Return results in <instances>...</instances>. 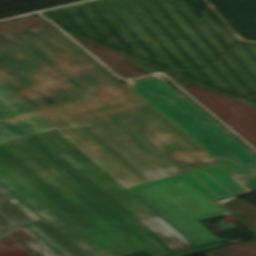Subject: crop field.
I'll use <instances>...</instances> for the list:
<instances>
[{
    "mask_svg": "<svg viewBox=\"0 0 256 256\" xmlns=\"http://www.w3.org/2000/svg\"><path fill=\"white\" fill-rule=\"evenodd\" d=\"M18 40L86 96L35 113L124 187L211 165L52 32Z\"/></svg>",
    "mask_w": 256,
    "mask_h": 256,
    "instance_id": "crop-field-1",
    "label": "crop field"
},
{
    "mask_svg": "<svg viewBox=\"0 0 256 256\" xmlns=\"http://www.w3.org/2000/svg\"><path fill=\"white\" fill-rule=\"evenodd\" d=\"M0 179L49 205L109 256L170 254L133 221L155 216L58 131L0 144Z\"/></svg>",
    "mask_w": 256,
    "mask_h": 256,
    "instance_id": "crop-field-2",
    "label": "crop field"
},
{
    "mask_svg": "<svg viewBox=\"0 0 256 256\" xmlns=\"http://www.w3.org/2000/svg\"><path fill=\"white\" fill-rule=\"evenodd\" d=\"M53 33L213 165L211 167L163 178L162 180L169 186L135 194V196L161 216L196 247L219 241L214 234L198 221L228 213L214 201L249 192L250 190L157 114L134 93L117 81L66 36L57 31H54ZM173 180L179 182L180 186Z\"/></svg>",
    "mask_w": 256,
    "mask_h": 256,
    "instance_id": "crop-field-3",
    "label": "crop field"
},
{
    "mask_svg": "<svg viewBox=\"0 0 256 256\" xmlns=\"http://www.w3.org/2000/svg\"><path fill=\"white\" fill-rule=\"evenodd\" d=\"M0 185L41 218V221L27 224L38 220V218L0 187V229L25 224L23 226H26L60 256H66L33 229L30 226L32 224L69 256H108L49 206L36 210L1 180ZM6 233L7 232L4 230L0 231V255L29 256L19 247L20 245ZM8 233L20 241L36 256L43 255L28 243L33 245L45 256H57L53 253L54 251L52 252L26 228L8 231Z\"/></svg>",
    "mask_w": 256,
    "mask_h": 256,
    "instance_id": "crop-field-4",
    "label": "crop field"
},
{
    "mask_svg": "<svg viewBox=\"0 0 256 256\" xmlns=\"http://www.w3.org/2000/svg\"><path fill=\"white\" fill-rule=\"evenodd\" d=\"M0 84L32 111L85 98L18 40L0 44Z\"/></svg>",
    "mask_w": 256,
    "mask_h": 256,
    "instance_id": "crop-field-5",
    "label": "crop field"
},
{
    "mask_svg": "<svg viewBox=\"0 0 256 256\" xmlns=\"http://www.w3.org/2000/svg\"><path fill=\"white\" fill-rule=\"evenodd\" d=\"M158 79H154L151 81L156 82L160 87H162L166 92H168L173 98H175L179 103H181L185 108H187L191 113H193L197 118H199L203 123H205L209 128H211L215 133H217L221 138H223L227 143H229L233 148H235L239 153H241L245 158H247L251 163H253L256 166V161L252 157H250L246 152H244L240 147H238L234 142H232L228 137H226L222 132H220L216 127H214L210 122H208L204 117H202L198 112H196L192 107H190L186 102H184L180 97H178L174 92H172L168 87H166ZM151 81H147V83L150 84L154 89H156L160 94H162L166 99H168L172 104H174L178 109H180L184 114H186L190 119H192L196 124H198L202 129H204L208 134H210L214 139H216L220 144H222L226 149H228L232 154H234L238 159H240L244 164H246L254 172L249 170L245 165H243L239 160H237L233 155H231L227 150H225L221 145H219L215 140H213L209 135H207L203 130H201L197 125H195L191 120H189L185 115H183L179 110H177L173 105H171L167 100H165L161 95H159L155 90H153L145 82L140 83V84L142 86H144L148 91H150L154 96H156L159 100H161L170 109H172L176 114H178L187 123H189L199 133H201L204 137H206L216 147H218L221 151H223L227 156H229L232 160H234L238 165H240L248 173L246 174L245 172H243L239 167H237L233 162H231L227 157H225L221 152H219L215 147H213L209 142H207L203 137H201L197 132H195L191 127H189L185 122H183L179 117H177L173 112H171L167 107H165L161 102H159L155 97H153L149 92H147L139 84H136V86L138 88H140L144 93H146L151 99H153L157 104H159L164 110H166L170 115H172L177 121H179L184 127H186L190 132H192L197 138H199L203 143H205L210 149H212L221 158H219L211 150H209L204 144H202L198 139H196L191 133H189L185 128H183L178 122H176L171 116H169L165 111H163L158 105H156L152 100H150L145 94H143L134 85L129 86V88H131L135 93H137L147 103H149L158 112H160L164 117H166L175 126H177L181 131H183L187 136H189L192 140H194L204 150H206L209 154H211L215 159H217L221 164H223L227 169H229L235 176L241 177V176L256 173V168L252 164H250L246 159H244L241 155H239L235 150H233L229 145H227L224 141H222L218 136H216L206 126H204L195 117H193L189 112H187L178 103H176L172 98H170L161 89H159L160 87L158 88L155 84H153L154 82L152 83ZM181 96L256 158V156L252 152H250L246 147H244L240 142H238L234 137H232L228 132H226L222 127H220L216 122H214L210 117H208L204 112H202L192 102H190L183 95H181ZM241 181H243L246 185H248L253 190H256V176L242 179Z\"/></svg>",
    "mask_w": 256,
    "mask_h": 256,
    "instance_id": "crop-field-6",
    "label": "crop field"
},
{
    "mask_svg": "<svg viewBox=\"0 0 256 256\" xmlns=\"http://www.w3.org/2000/svg\"><path fill=\"white\" fill-rule=\"evenodd\" d=\"M52 129L0 85V142Z\"/></svg>",
    "mask_w": 256,
    "mask_h": 256,
    "instance_id": "crop-field-7",
    "label": "crop field"
},
{
    "mask_svg": "<svg viewBox=\"0 0 256 256\" xmlns=\"http://www.w3.org/2000/svg\"><path fill=\"white\" fill-rule=\"evenodd\" d=\"M135 223L138 224L147 233L158 238L161 242H163L167 247H169L172 251L176 253V254H170L166 256H187L194 253L206 251L209 249L225 246L223 242H220V243L178 253V251L193 248L194 246H192L182 236H180L177 232H175L158 216L136 221Z\"/></svg>",
    "mask_w": 256,
    "mask_h": 256,
    "instance_id": "crop-field-8",
    "label": "crop field"
},
{
    "mask_svg": "<svg viewBox=\"0 0 256 256\" xmlns=\"http://www.w3.org/2000/svg\"><path fill=\"white\" fill-rule=\"evenodd\" d=\"M48 25L30 17L0 21V43L44 30L53 31Z\"/></svg>",
    "mask_w": 256,
    "mask_h": 256,
    "instance_id": "crop-field-9",
    "label": "crop field"
},
{
    "mask_svg": "<svg viewBox=\"0 0 256 256\" xmlns=\"http://www.w3.org/2000/svg\"><path fill=\"white\" fill-rule=\"evenodd\" d=\"M163 186H167V184L164 183L161 179H159V180L151 181L141 185L128 187L126 189H128L130 192L135 194V193H139V192H143V191H147V190H151V189H155Z\"/></svg>",
    "mask_w": 256,
    "mask_h": 256,
    "instance_id": "crop-field-10",
    "label": "crop field"
}]
</instances>
